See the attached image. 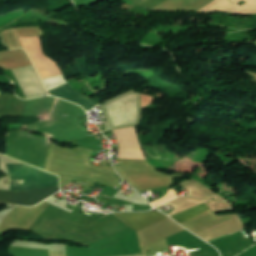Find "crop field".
<instances>
[{"label":"crop field","mask_w":256,"mask_h":256,"mask_svg":"<svg viewBox=\"0 0 256 256\" xmlns=\"http://www.w3.org/2000/svg\"><path fill=\"white\" fill-rule=\"evenodd\" d=\"M57 191L58 187L30 191L0 190V203L33 206Z\"/></svg>","instance_id":"1"},{"label":"crop field","mask_w":256,"mask_h":256,"mask_svg":"<svg viewBox=\"0 0 256 256\" xmlns=\"http://www.w3.org/2000/svg\"><path fill=\"white\" fill-rule=\"evenodd\" d=\"M115 214L136 231L167 218L157 211Z\"/></svg>","instance_id":"2"},{"label":"crop field","mask_w":256,"mask_h":256,"mask_svg":"<svg viewBox=\"0 0 256 256\" xmlns=\"http://www.w3.org/2000/svg\"><path fill=\"white\" fill-rule=\"evenodd\" d=\"M209 210L205 203L178 213L176 215L171 216L174 220H176L179 224Z\"/></svg>","instance_id":"3"},{"label":"crop field","mask_w":256,"mask_h":256,"mask_svg":"<svg viewBox=\"0 0 256 256\" xmlns=\"http://www.w3.org/2000/svg\"><path fill=\"white\" fill-rule=\"evenodd\" d=\"M242 229H240V230H238V231H241ZM238 231H235V232H233V233H236V232H238ZM233 233H231V234H233ZM230 235V234H229Z\"/></svg>","instance_id":"4"},{"label":"crop field","mask_w":256,"mask_h":256,"mask_svg":"<svg viewBox=\"0 0 256 256\" xmlns=\"http://www.w3.org/2000/svg\"><path fill=\"white\" fill-rule=\"evenodd\" d=\"M107 122L105 121V122H103V124H106Z\"/></svg>","instance_id":"5"}]
</instances>
